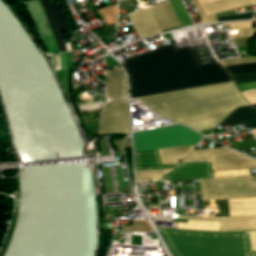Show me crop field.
<instances>
[{
	"mask_svg": "<svg viewBox=\"0 0 256 256\" xmlns=\"http://www.w3.org/2000/svg\"><path fill=\"white\" fill-rule=\"evenodd\" d=\"M256 107V105H254Z\"/></svg>",
	"mask_w": 256,
	"mask_h": 256,
	"instance_id": "40",
	"label": "crop field"
},
{
	"mask_svg": "<svg viewBox=\"0 0 256 256\" xmlns=\"http://www.w3.org/2000/svg\"><path fill=\"white\" fill-rule=\"evenodd\" d=\"M223 231L256 230V217H222Z\"/></svg>",
	"mask_w": 256,
	"mask_h": 256,
	"instance_id": "15",
	"label": "crop field"
},
{
	"mask_svg": "<svg viewBox=\"0 0 256 256\" xmlns=\"http://www.w3.org/2000/svg\"><path fill=\"white\" fill-rule=\"evenodd\" d=\"M255 139H256V135H254Z\"/></svg>",
	"mask_w": 256,
	"mask_h": 256,
	"instance_id": "39",
	"label": "crop field"
},
{
	"mask_svg": "<svg viewBox=\"0 0 256 256\" xmlns=\"http://www.w3.org/2000/svg\"><path fill=\"white\" fill-rule=\"evenodd\" d=\"M122 64L131 98L232 80L218 62L200 66L191 46H165ZM136 99L198 131L216 128L234 109L249 105L233 81Z\"/></svg>",
	"mask_w": 256,
	"mask_h": 256,
	"instance_id": "1",
	"label": "crop field"
},
{
	"mask_svg": "<svg viewBox=\"0 0 256 256\" xmlns=\"http://www.w3.org/2000/svg\"><path fill=\"white\" fill-rule=\"evenodd\" d=\"M136 170L175 168L178 164L162 165L157 150L135 152Z\"/></svg>",
	"mask_w": 256,
	"mask_h": 256,
	"instance_id": "11",
	"label": "crop field"
},
{
	"mask_svg": "<svg viewBox=\"0 0 256 256\" xmlns=\"http://www.w3.org/2000/svg\"><path fill=\"white\" fill-rule=\"evenodd\" d=\"M173 169L168 170H156V171H141L136 172L137 174V182H150L149 180H157L158 178L162 177L161 174H166Z\"/></svg>",
	"mask_w": 256,
	"mask_h": 256,
	"instance_id": "20",
	"label": "crop field"
},
{
	"mask_svg": "<svg viewBox=\"0 0 256 256\" xmlns=\"http://www.w3.org/2000/svg\"><path fill=\"white\" fill-rule=\"evenodd\" d=\"M211 162L213 171L256 168V160L239 153L211 156Z\"/></svg>",
	"mask_w": 256,
	"mask_h": 256,
	"instance_id": "9",
	"label": "crop field"
},
{
	"mask_svg": "<svg viewBox=\"0 0 256 256\" xmlns=\"http://www.w3.org/2000/svg\"><path fill=\"white\" fill-rule=\"evenodd\" d=\"M256 0H225L202 6L206 15H212L232 9L254 6Z\"/></svg>",
	"mask_w": 256,
	"mask_h": 256,
	"instance_id": "14",
	"label": "crop field"
},
{
	"mask_svg": "<svg viewBox=\"0 0 256 256\" xmlns=\"http://www.w3.org/2000/svg\"><path fill=\"white\" fill-rule=\"evenodd\" d=\"M243 123L245 129L256 128V110L250 107L236 109L220 125Z\"/></svg>",
	"mask_w": 256,
	"mask_h": 256,
	"instance_id": "13",
	"label": "crop field"
},
{
	"mask_svg": "<svg viewBox=\"0 0 256 256\" xmlns=\"http://www.w3.org/2000/svg\"><path fill=\"white\" fill-rule=\"evenodd\" d=\"M242 94L250 102L251 105L256 104V89L242 92Z\"/></svg>",
	"mask_w": 256,
	"mask_h": 256,
	"instance_id": "31",
	"label": "crop field"
},
{
	"mask_svg": "<svg viewBox=\"0 0 256 256\" xmlns=\"http://www.w3.org/2000/svg\"><path fill=\"white\" fill-rule=\"evenodd\" d=\"M199 1H200L201 5H203V4L217 2V1H221V0H199Z\"/></svg>",
	"mask_w": 256,
	"mask_h": 256,
	"instance_id": "36",
	"label": "crop field"
},
{
	"mask_svg": "<svg viewBox=\"0 0 256 256\" xmlns=\"http://www.w3.org/2000/svg\"><path fill=\"white\" fill-rule=\"evenodd\" d=\"M234 152L225 147L193 151L184 162L210 161V155Z\"/></svg>",
	"mask_w": 256,
	"mask_h": 256,
	"instance_id": "17",
	"label": "crop field"
},
{
	"mask_svg": "<svg viewBox=\"0 0 256 256\" xmlns=\"http://www.w3.org/2000/svg\"><path fill=\"white\" fill-rule=\"evenodd\" d=\"M203 136L181 125L134 134L135 151L197 144Z\"/></svg>",
	"mask_w": 256,
	"mask_h": 256,
	"instance_id": "3",
	"label": "crop field"
},
{
	"mask_svg": "<svg viewBox=\"0 0 256 256\" xmlns=\"http://www.w3.org/2000/svg\"><path fill=\"white\" fill-rule=\"evenodd\" d=\"M170 2L180 20L182 27L193 24L191 17L189 15V13L187 12L182 0H170Z\"/></svg>",
	"mask_w": 256,
	"mask_h": 256,
	"instance_id": "19",
	"label": "crop field"
},
{
	"mask_svg": "<svg viewBox=\"0 0 256 256\" xmlns=\"http://www.w3.org/2000/svg\"><path fill=\"white\" fill-rule=\"evenodd\" d=\"M241 27H252V24L234 26L233 29H237V28H241Z\"/></svg>",
	"mask_w": 256,
	"mask_h": 256,
	"instance_id": "37",
	"label": "crop field"
},
{
	"mask_svg": "<svg viewBox=\"0 0 256 256\" xmlns=\"http://www.w3.org/2000/svg\"><path fill=\"white\" fill-rule=\"evenodd\" d=\"M195 145L192 146H184V147H176V148H165V149H159L161 155L165 154H175V153H185V152H191Z\"/></svg>",
	"mask_w": 256,
	"mask_h": 256,
	"instance_id": "24",
	"label": "crop field"
},
{
	"mask_svg": "<svg viewBox=\"0 0 256 256\" xmlns=\"http://www.w3.org/2000/svg\"><path fill=\"white\" fill-rule=\"evenodd\" d=\"M60 51H66L63 43V31L71 30L66 13L59 1L50 4L49 0H40Z\"/></svg>",
	"mask_w": 256,
	"mask_h": 256,
	"instance_id": "6",
	"label": "crop field"
},
{
	"mask_svg": "<svg viewBox=\"0 0 256 256\" xmlns=\"http://www.w3.org/2000/svg\"><path fill=\"white\" fill-rule=\"evenodd\" d=\"M214 178L210 162L182 163L160 180Z\"/></svg>",
	"mask_w": 256,
	"mask_h": 256,
	"instance_id": "7",
	"label": "crop field"
},
{
	"mask_svg": "<svg viewBox=\"0 0 256 256\" xmlns=\"http://www.w3.org/2000/svg\"><path fill=\"white\" fill-rule=\"evenodd\" d=\"M237 87L240 90V92L254 89V88H256V82L255 83H247V84H239V85H237Z\"/></svg>",
	"mask_w": 256,
	"mask_h": 256,
	"instance_id": "33",
	"label": "crop field"
},
{
	"mask_svg": "<svg viewBox=\"0 0 256 256\" xmlns=\"http://www.w3.org/2000/svg\"><path fill=\"white\" fill-rule=\"evenodd\" d=\"M247 23H251V21L234 22V23H225V24H223V26H224V27H228V26H234V25H239V24H247Z\"/></svg>",
	"mask_w": 256,
	"mask_h": 256,
	"instance_id": "35",
	"label": "crop field"
},
{
	"mask_svg": "<svg viewBox=\"0 0 256 256\" xmlns=\"http://www.w3.org/2000/svg\"><path fill=\"white\" fill-rule=\"evenodd\" d=\"M253 134H256V130H253Z\"/></svg>",
	"mask_w": 256,
	"mask_h": 256,
	"instance_id": "38",
	"label": "crop field"
},
{
	"mask_svg": "<svg viewBox=\"0 0 256 256\" xmlns=\"http://www.w3.org/2000/svg\"><path fill=\"white\" fill-rule=\"evenodd\" d=\"M226 69L230 74L256 72V64L229 66Z\"/></svg>",
	"mask_w": 256,
	"mask_h": 256,
	"instance_id": "21",
	"label": "crop field"
},
{
	"mask_svg": "<svg viewBox=\"0 0 256 256\" xmlns=\"http://www.w3.org/2000/svg\"><path fill=\"white\" fill-rule=\"evenodd\" d=\"M151 8L162 29L180 25L169 1L151 5Z\"/></svg>",
	"mask_w": 256,
	"mask_h": 256,
	"instance_id": "12",
	"label": "crop field"
},
{
	"mask_svg": "<svg viewBox=\"0 0 256 256\" xmlns=\"http://www.w3.org/2000/svg\"><path fill=\"white\" fill-rule=\"evenodd\" d=\"M130 133L127 100L108 103L102 110L99 134Z\"/></svg>",
	"mask_w": 256,
	"mask_h": 256,
	"instance_id": "5",
	"label": "crop field"
},
{
	"mask_svg": "<svg viewBox=\"0 0 256 256\" xmlns=\"http://www.w3.org/2000/svg\"><path fill=\"white\" fill-rule=\"evenodd\" d=\"M203 201L256 197V176L199 180Z\"/></svg>",
	"mask_w": 256,
	"mask_h": 256,
	"instance_id": "4",
	"label": "crop field"
},
{
	"mask_svg": "<svg viewBox=\"0 0 256 256\" xmlns=\"http://www.w3.org/2000/svg\"><path fill=\"white\" fill-rule=\"evenodd\" d=\"M128 231H150L146 222H133V226H123Z\"/></svg>",
	"mask_w": 256,
	"mask_h": 256,
	"instance_id": "29",
	"label": "crop field"
},
{
	"mask_svg": "<svg viewBox=\"0 0 256 256\" xmlns=\"http://www.w3.org/2000/svg\"><path fill=\"white\" fill-rule=\"evenodd\" d=\"M158 230L173 256H256L248 232Z\"/></svg>",
	"mask_w": 256,
	"mask_h": 256,
	"instance_id": "2",
	"label": "crop field"
},
{
	"mask_svg": "<svg viewBox=\"0 0 256 256\" xmlns=\"http://www.w3.org/2000/svg\"><path fill=\"white\" fill-rule=\"evenodd\" d=\"M235 84L256 81V73L231 75Z\"/></svg>",
	"mask_w": 256,
	"mask_h": 256,
	"instance_id": "23",
	"label": "crop field"
},
{
	"mask_svg": "<svg viewBox=\"0 0 256 256\" xmlns=\"http://www.w3.org/2000/svg\"><path fill=\"white\" fill-rule=\"evenodd\" d=\"M188 154L189 153L166 155V156H160V158L163 164H171V163H178L177 160L185 159Z\"/></svg>",
	"mask_w": 256,
	"mask_h": 256,
	"instance_id": "26",
	"label": "crop field"
},
{
	"mask_svg": "<svg viewBox=\"0 0 256 256\" xmlns=\"http://www.w3.org/2000/svg\"><path fill=\"white\" fill-rule=\"evenodd\" d=\"M238 30H239L240 34L231 35L233 39L247 37V36H253L252 28H242V29H238Z\"/></svg>",
	"mask_w": 256,
	"mask_h": 256,
	"instance_id": "30",
	"label": "crop field"
},
{
	"mask_svg": "<svg viewBox=\"0 0 256 256\" xmlns=\"http://www.w3.org/2000/svg\"><path fill=\"white\" fill-rule=\"evenodd\" d=\"M252 250H256V231L249 232Z\"/></svg>",
	"mask_w": 256,
	"mask_h": 256,
	"instance_id": "34",
	"label": "crop field"
},
{
	"mask_svg": "<svg viewBox=\"0 0 256 256\" xmlns=\"http://www.w3.org/2000/svg\"><path fill=\"white\" fill-rule=\"evenodd\" d=\"M177 218H181V219H199V220L221 221V218H214V217H196V216L177 215Z\"/></svg>",
	"mask_w": 256,
	"mask_h": 256,
	"instance_id": "32",
	"label": "crop field"
},
{
	"mask_svg": "<svg viewBox=\"0 0 256 256\" xmlns=\"http://www.w3.org/2000/svg\"><path fill=\"white\" fill-rule=\"evenodd\" d=\"M231 216H256V198L228 200Z\"/></svg>",
	"mask_w": 256,
	"mask_h": 256,
	"instance_id": "16",
	"label": "crop field"
},
{
	"mask_svg": "<svg viewBox=\"0 0 256 256\" xmlns=\"http://www.w3.org/2000/svg\"><path fill=\"white\" fill-rule=\"evenodd\" d=\"M254 12L248 14H241V15H229L224 17L217 18L219 22L224 21H234V20H241V19H251Z\"/></svg>",
	"mask_w": 256,
	"mask_h": 256,
	"instance_id": "27",
	"label": "crop field"
},
{
	"mask_svg": "<svg viewBox=\"0 0 256 256\" xmlns=\"http://www.w3.org/2000/svg\"><path fill=\"white\" fill-rule=\"evenodd\" d=\"M220 225L221 223L188 221V224L177 223V229L220 231Z\"/></svg>",
	"mask_w": 256,
	"mask_h": 256,
	"instance_id": "18",
	"label": "crop field"
},
{
	"mask_svg": "<svg viewBox=\"0 0 256 256\" xmlns=\"http://www.w3.org/2000/svg\"><path fill=\"white\" fill-rule=\"evenodd\" d=\"M215 178L250 175L249 170L220 171L214 173Z\"/></svg>",
	"mask_w": 256,
	"mask_h": 256,
	"instance_id": "22",
	"label": "crop field"
},
{
	"mask_svg": "<svg viewBox=\"0 0 256 256\" xmlns=\"http://www.w3.org/2000/svg\"><path fill=\"white\" fill-rule=\"evenodd\" d=\"M192 2L195 8L198 10L199 15L202 18L203 22H218L215 15L206 17L202 7L199 5L197 0H192Z\"/></svg>",
	"mask_w": 256,
	"mask_h": 256,
	"instance_id": "28",
	"label": "crop field"
},
{
	"mask_svg": "<svg viewBox=\"0 0 256 256\" xmlns=\"http://www.w3.org/2000/svg\"><path fill=\"white\" fill-rule=\"evenodd\" d=\"M255 62H256V57H249V58H238V59L222 61L221 64L223 66H227V65L255 63Z\"/></svg>",
	"mask_w": 256,
	"mask_h": 256,
	"instance_id": "25",
	"label": "crop field"
},
{
	"mask_svg": "<svg viewBox=\"0 0 256 256\" xmlns=\"http://www.w3.org/2000/svg\"><path fill=\"white\" fill-rule=\"evenodd\" d=\"M124 81H126L125 74L121 67H113V69L106 71L105 84L109 98H127V87Z\"/></svg>",
	"mask_w": 256,
	"mask_h": 256,
	"instance_id": "10",
	"label": "crop field"
},
{
	"mask_svg": "<svg viewBox=\"0 0 256 256\" xmlns=\"http://www.w3.org/2000/svg\"><path fill=\"white\" fill-rule=\"evenodd\" d=\"M127 15L140 38L162 32L150 7Z\"/></svg>",
	"mask_w": 256,
	"mask_h": 256,
	"instance_id": "8",
	"label": "crop field"
}]
</instances>
